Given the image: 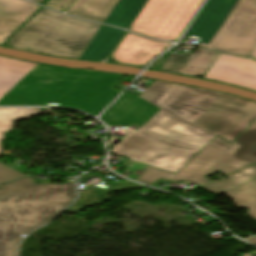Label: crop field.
<instances>
[{"mask_svg": "<svg viewBox=\"0 0 256 256\" xmlns=\"http://www.w3.org/2000/svg\"><path fill=\"white\" fill-rule=\"evenodd\" d=\"M255 119L256 102L158 80L139 97L124 94L101 117L107 125L142 127L113 155L175 173L216 134L232 141Z\"/></svg>", "mask_w": 256, "mask_h": 256, "instance_id": "obj_1", "label": "crop field"}, {"mask_svg": "<svg viewBox=\"0 0 256 256\" xmlns=\"http://www.w3.org/2000/svg\"><path fill=\"white\" fill-rule=\"evenodd\" d=\"M123 75L94 73L0 56V105H45L99 113L118 92L109 90Z\"/></svg>", "mask_w": 256, "mask_h": 256, "instance_id": "obj_2", "label": "crop field"}, {"mask_svg": "<svg viewBox=\"0 0 256 256\" xmlns=\"http://www.w3.org/2000/svg\"><path fill=\"white\" fill-rule=\"evenodd\" d=\"M1 187L0 256H14L19 234L46 223L75 198L72 182L35 184L26 177Z\"/></svg>", "mask_w": 256, "mask_h": 256, "instance_id": "obj_3", "label": "crop field"}, {"mask_svg": "<svg viewBox=\"0 0 256 256\" xmlns=\"http://www.w3.org/2000/svg\"><path fill=\"white\" fill-rule=\"evenodd\" d=\"M99 27L43 8L9 40L8 46L79 59Z\"/></svg>", "mask_w": 256, "mask_h": 256, "instance_id": "obj_4", "label": "crop field"}, {"mask_svg": "<svg viewBox=\"0 0 256 256\" xmlns=\"http://www.w3.org/2000/svg\"><path fill=\"white\" fill-rule=\"evenodd\" d=\"M256 162V121L232 143L217 136L178 174L150 166L136 181L152 186L159 179L200 185L217 171L227 175ZM203 185V184H202Z\"/></svg>", "mask_w": 256, "mask_h": 256, "instance_id": "obj_5", "label": "crop field"}, {"mask_svg": "<svg viewBox=\"0 0 256 256\" xmlns=\"http://www.w3.org/2000/svg\"><path fill=\"white\" fill-rule=\"evenodd\" d=\"M203 0H148L128 30L176 41Z\"/></svg>", "mask_w": 256, "mask_h": 256, "instance_id": "obj_6", "label": "crop field"}, {"mask_svg": "<svg viewBox=\"0 0 256 256\" xmlns=\"http://www.w3.org/2000/svg\"><path fill=\"white\" fill-rule=\"evenodd\" d=\"M198 46L248 57L256 47V0H238L210 44Z\"/></svg>", "mask_w": 256, "mask_h": 256, "instance_id": "obj_7", "label": "crop field"}, {"mask_svg": "<svg viewBox=\"0 0 256 256\" xmlns=\"http://www.w3.org/2000/svg\"><path fill=\"white\" fill-rule=\"evenodd\" d=\"M204 78L256 91V62L220 53Z\"/></svg>", "mask_w": 256, "mask_h": 256, "instance_id": "obj_8", "label": "crop field"}, {"mask_svg": "<svg viewBox=\"0 0 256 256\" xmlns=\"http://www.w3.org/2000/svg\"><path fill=\"white\" fill-rule=\"evenodd\" d=\"M237 0H208L187 35L202 38L201 43L209 44Z\"/></svg>", "mask_w": 256, "mask_h": 256, "instance_id": "obj_9", "label": "crop field"}, {"mask_svg": "<svg viewBox=\"0 0 256 256\" xmlns=\"http://www.w3.org/2000/svg\"><path fill=\"white\" fill-rule=\"evenodd\" d=\"M170 45L127 33L116 49L113 58L117 63L144 66L151 58Z\"/></svg>", "mask_w": 256, "mask_h": 256, "instance_id": "obj_10", "label": "crop field"}, {"mask_svg": "<svg viewBox=\"0 0 256 256\" xmlns=\"http://www.w3.org/2000/svg\"><path fill=\"white\" fill-rule=\"evenodd\" d=\"M39 8L26 0H0V44Z\"/></svg>", "mask_w": 256, "mask_h": 256, "instance_id": "obj_11", "label": "crop field"}, {"mask_svg": "<svg viewBox=\"0 0 256 256\" xmlns=\"http://www.w3.org/2000/svg\"><path fill=\"white\" fill-rule=\"evenodd\" d=\"M123 33L124 30L102 25L81 59L101 61L106 58Z\"/></svg>", "mask_w": 256, "mask_h": 256, "instance_id": "obj_12", "label": "crop field"}, {"mask_svg": "<svg viewBox=\"0 0 256 256\" xmlns=\"http://www.w3.org/2000/svg\"><path fill=\"white\" fill-rule=\"evenodd\" d=\"M118 0H75L68 14L104 23Z\"/></svg>", "mask_w": 256, "mask_h": 256, "instance_id": "obj_13", "label": "crop field"}, {"mask_svg": "<svg viewBox=\"0 0 256 256\" xmlns=\"http://www.w3.org/2000/svg\"><path fill=\"white\" fill-rule=\"evenodd\" d=\"M146 0H119L105 24L128 29Z\"/></svg>", "mask_w": 256, "mask_h": 256, "instance_id": "obj_14", "label": "crop field"}, {"mask_svg": "<svg viewBox=\"0 0 256 256\" xmlns=\"http://www.w3.org/2000/svg\"><path fill=\"white\" fill-rule=\"evenodd\" d=\"M144 187L145 186H142L137 183L126 180V181L122 182L121 184L117 185L116 187L108 189V190L88 189V190L80 193L79 199L66 210L69 211L70 213H75V212H77L78 208L102 204L109 200L107 197V193L114 191V190H124V189H129V188H144Z\"/></svg>", "mask_w": 256, "mask_h": 256, "instance_id": "obj_15", "label": "crop field"}, {"mask_svg": "<svg viewBox=\"0 0 256 256\" xmlns=\"http://www.w3.org/2000/svg\"><path fill=\"white\" fill-rule=\"evenodd\" d=\"M226 194L235 202L237 207L249 208L246 212L251 218L256 220V179L242 184Z\"/></svg>", "mask_w": 256, "mask_h": 256, "instance_id": "obj_16", "label": "crop field"}, {"mask_svg": "<svg viewBox=\"0 0 256 256\" xmlns=\"http://www.w3.org/2000/svg\"><path fill=\"white\" fill-rule=\"evenodd\" d=\"M40 113V108H0V140L4 139V133L13 129V123Z\"/></svg>", "mask_w": 256, "mask_h": 256, "instance_id": "obj_17", "label": "crop field"}, {"mask_svg": "<svg viewBox=\"0 0 256 256\" xmlns=\"http://www.w3.org/2000/svg\"><path fill=\"white\" fill-rule=\"evenodd\" d=\"M254 178H256V164L228 175L226 180L211 182L203 187L214 193H221Z\"/></svg>", "mask_w": 256, "mask_h": 256, "instance_id": "obj_18", "label": "crop field"}, {"mask_svg": "<svg viewBox=\"0 0 256 256\" xmlns=\"http://www.w3.org/2000/svg\"><path fill=\"white\" fill-rule=\"evenodd\" d=\"M215 55L216 52L213 51H207L201 48L196 49L195 53L180 73L190 76L204 74Z\"/></svg>", "mask_w": 256, "mask_h": 256, "instance_id": "obj_19", "label": "crop field"}, {"mask_svg": "<svg viewBox=\"0 0 256 256\" xmlns=\"http://www.w3.org/2000/svg\"><path fill=\"white\" fill-rule=\"evenodd\" d=\"M191 55L192 53H186L185 56L170 54L161 70L178 74Z\"/></svg>", "mask_w": 256, "mask_h": 256, "instance_id": "obj_20", "label": "crop field"}, {"mask_svg": "<svg viewBox=\"0 0 256 256\" xmlns=\"http://www.w3.org/2000/svg\"><path fill=\"white\" fill-rule=\"evenodd\" d=\"M23 176L21 173L0 164V183Z\"/></svg>", "mask_w": 256, "mask_h": 256, "instance_id": "obj_21", "label": "crop field"}, {"mask_svg": "<svg viewBox=\"0 0 256 256\" xmlns=\"http://www.w3.org/2000/svg\"><path fill=\"white\" fill-rule=\"evenodd\" d=\"M70 2L71 0H50L47 2L46 6L63 12Z\"/></svg>", "mask_w": 256, "mask_h": 256, "instance_id": "obj_22", "label": "crop field"}, {"mask_svg": "<svg viewBox=\"0 0 256 256\" xmlns=\"http://www.w3.org/2000/svg\"><path fill=\"white\" fill-rule=\"evenodd\" d=\"M168 54V53H167ZM163 55L159 60H157L152 66L151 68H154V69H159L160 65L162 64L163 60L165 59L166 55Z\"/></svg>", "mask_w": 256, "mask_h": 256, "instance_id": "obj_23", "label": "crop field"}, {"mask_svg": "<svg viewBox=\"0 0 256 256\" xmlns=\"http://www.w3.org/2000/svg\"><path fill=\"white\" fill-rule=\"evenodd\" d=\"M92 177L98 178V175L87 174V175L81 177V178L79 179V182H86V181H88V180H89L90 178H92Z\"/></svg>", "mask_w": 256, "mask_h": 256, "instance_id": "obj_24", "label": "crop field"}, {"mask_svg": "<svg viewBox=\"0 0 256 256\" xmlns=\"http://www.w3.org/2000/svg\"><path fill=\"white\" fill-rule=\"evenodd\" d=\"M247 241L253 243L256 245V237H253V238H250V239H247Z\"/></svg>", "mask_w": 256, "mask_h": 256, "instance_id": "obj_25", "label": "crop field"}, {"mask_svg": "<svg viewBox=\"0 0 256 256\" xmlns=\"http://www.w3.org/2000/svg\"><path fill=\"white\" fill-rule=\"evenodd\" d=\"M254 58H256V48L254 49V51L251 54Z\"/></svg>", "mask_w": 256, "mask_h": 256, "instance_id": "obj_26", "label": "crop field"}, {"mask_svg": "<svg viewBox=\"0 0 256 256\" xmlns=\"http://www.w3.org/2000/svg\"><path fill=\"white\" fill-rule=\"evenodd\" d=\"M32 1H34V2H36V3H40V2H42L43 0H32Z\"/></svg>", "mask_w": 256, "mask_h": 256, "instance_id": "obj_27", "label": "crop field"}]
</instances>
